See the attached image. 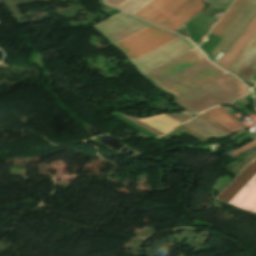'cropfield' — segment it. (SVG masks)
<instances>
[{"instance_id":"2","label":"crop field","mask_w":256,"mask_h":256,"mask_svg":"<svg viewBox=\"0 0 256 256\" xmlns=\"http://www.w3.org/2000/svg\"><path fill=\"white\" fill-rule=\"evenodd\" d=\"M247 91L248 88L227 73L176 101L188 112L196 113L212 106L229 104Z\"/></svg>"},{"instance_id":"4","label":"crop field","mask_w":256,"mask_h":256,"mask_svg":"<svg viewBox=\"0 0 256 256\" xmlns=\"http://www.w3.org/2000/svg\"><path fill=\"white\" fill-rule=\"evenodd\" d=\"M177 37L151 25L115 45L132 61Z\"/></svg>"},{"instance_id":"13","label":"crop field","mask_w":256,"mask_h":256,"mask_svg":"<svg viewBox=\"0 0 256 256\" xmlns=\"http://www.w3.org/2000/svg\"><path fill=\"white\" fill-rule=\"evenodd\" d=\"M139 120L164 134L180 124L164 115Z\"/></svg>"},{"instance_id":"7","label":"crop field","mask_w":256,"mask_h":256,"mask_svg":"<svg viewBox=\"0 0 256 256\" xmlns=\"http://www.w3.org/2000/svg\"><path fill=\"white\" fill-rule=\"evenodd\" d=\"M255 32H256V15L248 23V25L241 32V34L237 37V39L233 42V44L229 47V49L222 56V58L219 60V62L229 67V65L236 58V56L240 53V51L247 44V42L254 35ZM210 56L215 58L212 54Z\"/></svg>"},{"instance_id":"19","label":"crop field","mask_w":256,"mask_h":256,"mask_svg":"<svg viewBox=\"0 0 256 256\" xmlns=\"http://www.w3.org/2000/svg\"><path fill=\"white\" fill-rule=\"evenodd\" d=\"M105 3L112 5L114 7L118 6L120 3H122L124 0H104Z\"/></svg>"},{"instance_id":"18","label":"crop field","mask_w":256,"mask_h":256,"mask_svg":"<svg viewBox=\"0 0 256 256\" xmlns=\"http://www.w3.org/2000/svg\"><path fill=\"white\" fill-rule=\"evenodd\" d=\"M123 117H124V116H123ZM125 117H126V116H125ZM126 118H128L129 120H131V121H133L134 123L138 124L139 126H141L142 128H144L145 130H147V131H149V132H151V133H153V134H155V135H157V136L162 135L161 133H159V132H157V131L151 129L150 127L146 126L145 124H143L142 122H140V121H138V120H136V119H134V118H130V117H126Z\"/></svg>"},{"instance_id":"11","label":"crop field","mask_w":256,"mask_h":256,"mask_svg":"<svg viewBox=\"0 0 256 256\" xmlns=\"http://www.w3.org/2000/svg\"><path fill=\"white\" fill-rule=\"evenodd\" d=\"M213 120L217 121L221 125L225 126L229 130L236 132L244 128L236 119H234L227 111L222 107L207 111L204 113Z\"/></svg>"},{"instance_id":"14","label":"crop field","mask_w":256,"mask_h":256,"mask_svg":"<svg viewBox=\"0 0 256 256\" xmlns=\"http://www.w3.org/2000/svg\"><path fill=\"white\" fill-rule=\"evenodd\" d=\"M151 1L153 0H126L117 8L134 15Z\"/></svg>"},{"instance_id":"10","label":"crop field","mask_w":256,"mask_h":256,"mask_svg":"<svg viewBox=\"0 0 256 256\" xmlns=\"http://www.w3.org/2000/svg\"><path fill=\"white\" fill-rule=\"evenodd\" d=\"M256 174V161L248 166L218 197L228 203Z\"/></svg>"},{"instance_id":"16","label":"crop field","mask_w":256,"mask_h":256,"mask_svg":"<svg viewBox=\"0 0 256 256\" xmlns=\"http://www.w3.org/2000/svg\"><path fill=\"white\" fill-rule=\"evenodd\" d=\"M254 146L256 147V140L247 144V145H245V146H243V147H241V148H239V149H237V150H235V151H233V152H231V153H229V154H227V155H229L230 157L233 158V157L237 156L238 154H240L241 152H243V151H245V150H247L251 147H254Z\"/></svg>"},{"instance_id":"8","label":"crop field","mask_w":256,"mask_h":256,"mask_svg":"<svg viewBox=\"0 0 256 256\" xmlns=\"http://www.w3.org/2000/svg\"><path fill=\"white\" fill-rule=\"evenodd\" d=\"M249 2L250 0H235L228 11L212 29L211 33L223 37Z\"/></svg>"},{"instance_id":"5","label":"crop field","mask_w":256,"mask_h":256,"mask_svg":"<svg viewBox=\"0 0 256 256\" xmlns=\"http://www.w3.org/2000/svg\"><path fill=\"white\" fill-rule=\"evenodd\" d=\"M193 48L187 39L179 37L132 62L145 74Z\"/></svg>"},{"instance_id":"1","label":"crop field","mask_w":256,"mask_h":256,"mask_svg":"<svg viewBox=\"0 0 256 256\" xmlns=\"http://www.w3.org/2000/svg\"><path fill=\"white\" fill-rule=\"evenodd\" d=\"M147 74L179 98L225 73L194 49Z\"/></svg>"},{"instance_id":"17","label":"crop field","mask_w":256,"mask_h":256,"mask_svg":"<svg viewBox=\"0 0 256 256\" xmlns=\"http://www.w3.org/2000/svg\"><path fill=\"white\" fill-rule=\"evenodd\" d=\"M167 116H169V117H171V118H173V119H175V120H177L181 123H183L187 120H190L193 117L191 115H182V114H167Z\"/></svg>"},{"instance_id":"12","label":"crop field","mask_w":256,"mask_h":256,"mask_svg":"<svg viewBox=\"0 0 256 256\" xmlns=\"http://www.w3.org/2000/svg\"><path fill=\"white\" fill-rule=\"evenodd\" d=\"M183 125L187 126L188 128L195 131L206 139L226 137L225 135H223L222 133L209 126L197 117Z\"/></svg>"},{"instance_id":"15","label":"crop field","mask_w":256,"mask_h":256,"mask_svg":"<svg viewBox=\"0 0 256 256\" xmlns=\"http://www.w3.org/2000/svg\"><path fill=\"white\" fill-rule=\"evenodd\" d=\"M197 117H199L200 119H202L206 123L210 124L211 126L216 128L217 130H219L220 132H222V133H224L228 136H230L233 133V132L229 131L228 129L224 128L223 126H221L220 124L216 123L215 121L211 120L207 116L203 115L202 113L199 114Z\"/></svg>"},{"instance_id":"9","label":"crop field","mask_w":256,"mask_h":256,"mask_svg":"<svg viewBox=\"0 0 256 256\" xmlns=\"http://www.w3.org/2000/svg\"><path fill=\"white\" fill-rule=\"evenodd\" d=\"M229 204L256 213V175Z\"/></svg>"},{"instance_id":"3","label":"crop field","mask_w":256,"mask_h":256,"mask_svg":"<svg viewBox=\"0 0 256 256\" xmlns=\"http://www.w3.org/2000/svg\"><path fill=\"white\" fill-rule=\"evenodd\" d=\"M203 7L202 0H154L135 16L175 31Z\"/></svg>"},{"instance_id":"6","label":"crop field","mask_w":256,"mask_h":256,"mask_svg":"<svg viewBox=\"0 0 256 256\" xmlns=\"http://www.w3.org/2000/svg\"><path fill=\"white\" fill-rule=\"evenodd\" d=\"M255 60L256 33L227 70L232 72L240 79L249 81V79L256 72V69L251 68L252 63ZM253 67L256 68V63L253 65Z\"/></svg>"}]
</instances>
